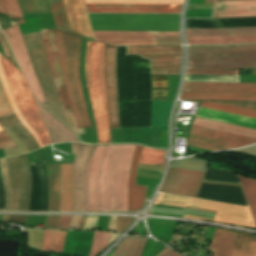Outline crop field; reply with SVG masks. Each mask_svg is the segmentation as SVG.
<instances>
[{
	"label": "crop field",
	"instance_id": "8a807250",
	"mask_svg": "<svg viewBox=\"0 0 256 256\" xmlns=\"http://www.w3.org/2000/svg\"><path fill=\"white\" fill-rule=\"evenodd\" d=\"M135 146H96L89 174V211H128V183Z\"/></svg>",
	"mask_w": 256,
	"mask_h": 256
},
{
	"label": "crop field",
	"instance_id": "ac0d7876",
	"mask_svg": "<svg viewBox=\"0 0 256 256\" xmlns=\"http://www.w3.org/2000/svg\"><path fill=\"white\" fill-rule=\"evenodd\" d=\"M104 43L87 41L85 74L97 128H109L107 103L103 87L102 57ZM116 46H104L103 74L108 102L110 128L119 127L115 81ZM99 143H111L109 129H97Z\"/></svg>",
	"mask_w": 256,
	"mask_h": 256
},
{
	"label": "crop field",
	"instance_id": "34b2d1b8",
	"mask_svg": "<svg viewBox=\"0 0 256 256\" xmlns=\"http://www.w3.org/2000/svg\"><path fill=\"white\" fill-rule=\"evenodd\" d=\"M51 71L63 106L66 120L80 138L75 119L64 87L58 58L55 30H41ZM40 31L23 35L34 70L42 88L48 109L65 119L56 87L50 71Z\"/></svg>",
	"mask_w": 256,
	"mask_h": 256
},
{
	"label": "crop field",
	"instance_id": "412701ff",
	"mask_svg": "<svg viewBox=\"0 0 256 256\" xmlns=\"http://www.w3.org/2000/svg\"><path fill=\"white\" fill-rule=\"evenodd\" d=\"M62 75L78 128H91L79 79L81 37L56 30Z\"/></svg>",
	"mask_w": 256,
	"mask_h": 256
},
{
	"label": "crop field",
	"instance_id": "f4fd0767",
	"mask_svg": "<svg viewBox=\"0 0 256 256\" xmlns=\"http://www.w3.org/2000/svg\"><path fill=\"white\" fill-rule=\"evenodd\" d=\"M256 68V46H189L187 69Z\"/></svg>",
	"mask_w": 256,
	"mask_h": 256
},
{
	"label": "crop field",
	"instance_id": "dd49c442",
	"mask_svg": "<svg viewBox=\"0 0 256 256\" xmlns=\"http://www.w3.org/2000/svg\"><path fill=\"white\" fill-rule=\"evenodd\" d=\"M1 56V55H0ZM2 65L11 88L13 97L26 122L38 135L42 145L49 144L45 127L38 115L32 93L21 73L4 57L1 56Z\"/></svg>",
	"mask_w": 256,
	"mask_h": 256
},
{
	"label": "crop field",
	"instance_id": "e52e79f7",
	"mask_svg": "<svg viewBox=\"0 0 256 256\" xmlns=\"http://www.w3.org/2000/svg\"><path fill=\"white\" fill-rule=\"evenodd\" d=\"M155 204L179 207H184L185 205H188L201 209L213 210L217 211V216L213 221L256 228L249 209L245 207L166 194H161ZM184 217L195 218L186 215H184Z\"/></svg>",
	"mask_w": 256,
	"mask_h": 256
},
{
	"label": "crop field",
	"instance_id": "d8731c3e",
	"mask_svg": "<svg viewBox=\"0 0 256 256\" xmlns=\"http://www.w3.org/2000/svg\"><path fill=\"white\" fill-rule=\"evenodd\" d=\"M95 40L111 43L152 44V36H180L179 32L93 31ZM122 46H181L180 37H153V45L115 44Z\"/></svg>",
	"mask_w": 256,
	"mask_h": 256
},
{
	"label": "crop field",
	"instance_id": "5a996713",
	"mask_svg": "<svg viewBox=\"0 0 256 256\" xmlns=\"http://www.w3.org/2000/svg\"><path fill=\"white\" fill-rule=\"evenodd\" d=\"M256 139L192 125L188 145L211 151L242 147Z\"/></svg>",
	"mask_w": 256,
	"mask_h": 256
},
{
	"label": "crop field",
	"instance_id": "3316defc",
	"mask_svg": "<svg viewBox=\"0 0 256 256\" xmlns=\"http://www.w3.org/2000/svg\"><path fill=\"white\" fill-rule=\"evenodd\" d=\"M19 157L23 168L24 188L22 169ZM19 157L15 156L6 158L8 163V172L10 175L12 191L11 210H20L23 188V200L21 210L28 211L31 193V170L27 155L25 154Z\"/></svg>",
	"mask_w": 256,
	"mask_h": 256
},
{
	"label": "crop field",
	"instance_id": "28ad6ade",
	"mask_svg": "<svg viewBox=\"0 0 256 256\" xmlns=\"http://www.w3.org/2000/svg\"><path fill=\"white\" fill-rule=\"evenodd\" d=\"M128 54L151 59L152 74H179L181 47H128Z\"/></svg>",
	"mask_w": 256,
	"mask_h": 256
},
{
	"label": "crop field",
	"instance_id": "d1516ede",
	"mask_svg": "<svg viewBox=\"0 0 256 256\" xmlns=\"http://www.w3.org/2000/svg\"><path fill=\"white\" fill-rule=\"evenodd\" d=\"M3 32L32 89V92L40 102L45 101L32 64L30 62L25 43L21 37L19 26L17 25L13 28L3 30Z\"/></svg>",
	"mask_w": 256,
	"mask_h": 256
},
{
	"label": "crop field",
	"instance_id": "22f410ed",
	"mask_svg": "<svg viewBox=\"0 0 256 256\" xmlns=\"http://www.w3.org/2000/svg\"><path fill=\"white\" fill-rule=\"evenodd\" d=\"M204 174L170 167L160 191L196 197Z\"/></svg>",
	"mask_w": 256,
	"mask_h": 256
},
{
	"label": "crop field",
	"instance_id": "cbeb9de0",
	"mask_svg": "<svg viewBox=\"0 0 256 256\" xmlns=\"http://www.w3.org/2000/svg\"><path fill=\"white\" fill-rule=\"evenodd\" d=\"M22 14L48 11L51 8L56 28L69 30L62 0H17ZM70 31V30H69Z\"/></svg>",
	"mask_w": 256,
	"mask_h": 256
},
{
	"label": "crop field",
	"instance_id": "5142ce71",
	"mask_svg": "<svg viewBox=\"0 0 256 256\" xmlns=\"http://www.w3.org/2000/svg\"><path fill=\"white\" fill-rule=\"evenodd\" d=\"M88 12L180 13L182 5L86 4Z\"/></svg>",
	"mask_w": 256,
	"mask_h": 256
},
{
	"label": "crop field",
	"instance_id": "d9b57169",
	"mask_svg": "<svg viewBox=\"0 0 256 256\" xmlns=\"http://www.w3.org/2000/svg\"><path fill=\"white\" fill-rule=\"evenodd\" d=\"M182 92L256 93V83L185 82Z\"/></svg>",
	"mask_w": 256,
	"mask_h": 256
},
{
	"label": "crop field",
	"instance_id": "733c2abd",
	"mask_svg": "<svg viewBox=\"0 0 256 256\" xmlns=\"http://www.w3.org/2000/svg\"><path fill=\"white\" fill-rule=\"evenodd\" d=\"M71 30L85 37H93L83 0H64Z\"/></svg>",
	"mask_w": 256,
	"mask_h": 256
},
{
	"label": "crop field",
	"instance_id": "4a817a6b",
	"mask_svg": "<svg viewBox=\"0 0 256 256\" xmlns=\"http://www.w3.org/2000/svg\"><path fill=\"white\" fill-rule=\"evenodd\" d=\"M35 99V98H34ZM40 117L46 127L51 144L57 142L66 141H76L80 142L71 131L62 124L58 119H56L52 114H50L45 108H43L39 102L35 99Z\"/></svg>",
	"mask_w": 256,
	"mask_h": 256
},
{
	"label": "crop field",
	"instance_id": "bc2a9ffb",
	"mask_svg": "<svg viewBox=\"0 0 256 256\" xmlns=\"http://www.w3.org/2000/svg\"><path fill=\"white\" fill-rule=\"evenodd\" d=\"M256 16V0L216 2L212 18Z\"/></svg>",
	"mask_w": 256,
	"mask_h": 256
},
{
	"label": "crop field",
	"instance_id": "214f88e0",
	"mask_svg": "<svg viewBox=\"0 0 256 256\" xmlns=\"http://www.w3.org/2000/svg\"><path fill=\"white\" fill-rule=\"evenodd\" d=\"M141 146L136 147L133 167L129 183V211L139 210L144 203L145 194L148 187L135 185L137 165L140 157Z\"/></svg>",
	"mask_w": 256,
	"mask_h": 256
},
{
	"label": "crop field",
	"instance_id": "92a150f3",
	"mask_svg": "<svg viewBox=\"0 0 256 256\" xmlns=\"http://www.w3.org/2000/svg\"><path fill=\"white\" fill-rule=\"evenodd\" d=\"M48 178V211H59L60 164L46 165Z\"/></svg>",
	"mask_w": 256,
	"mask_h": 256
},
{
	"label": "crop field",
	"instance_id": "dafd665d",
	"mask_svg": "<svg viewBox=\"0 0 256 256\" xmlns=\"http://www.w3.org/2000/svg\"><path fill=\"white\" fill-rule=\"evenodd\" d=\"M4 125L13 132L29 151L39 148L35 139L17 118L16 114L0 118V126Z\"/></svg>",
	"mask_w": 256,
	"mask_h": 256
},
{
	"label": "crop field",
	"instance_id": "00972430",
	"mask_svg": "<svg viewBox=\"0 0 256 256\" xmlns=\"http://www.w3.org/2000/svg\"><path fill=\"white\" fill-rule=\"evenodd\" d=\"M72 173L73 165L61 164L60 211H73Z\"/></svg>",
	"mask_w": 256,
	"mask_h": 256
},
{
	"label": "crop field",
	"instance_id": "a9b5d70f",
	"mask_svg": "<svg viewBox=\"0 0 256 256\" xmlns=\"http://www.w3.org/2000/svg\"><path fill=\"white\" fill-rule=\"evenodd\" d=\"M195 116L256 129V119L252 118H246L201 108L198 109Z\"/></svg>",
	"mask_w": 256,
	"mask_h": 256
},
{
	"label": "crop field",
	"instance_id": "4177f3b9",
	"mask_svg": "<svg viewBox=\"0 0 256 256\" xmlns=\"http://www.w3.org/2000/svg\"><path fill=\"white\" fill-rule=\"evenodd\" d=\"M236 233L216 228L209 251L215 252L214 256H228Z\"/></svg>",
	"mask_w": 256,
	"mask_h": 256
},
{
	"label": "crop field",
	"instance_id": "730fd06b",
	"mask_svg": "<svg viewBox=\"0 0 256 256\" xmlns=\"http://www.w3.org/2000/svg\"><path fill=\"white\" fill-rule=\"evenodd\" d=\"M229 256H256V235L238 232Z\"/></svg>",
	"mask_w": 256,
	"mask_h": 256
},
{
	"label": "crop field",
	"instance_id": "eef30255",
	"mask_svg": "<svg viewBox=\"0 0 256 256\" xmlns=\"http://www.w3.org/2000/svg\"><path fill=\"white\" fill-rule=\"evenodd\" d=\"M190 44L256 43V35L224 37H187Z\"/></svg>",
	"mask_w": 256,
	"mask_h": 256
},
{
	"label": "crop field",
	"instance_id": "ae1a2a85",
	"mask_svg": "<svg viewBox=\"0 0 256 256\" xmlns=\"http://www.w3.org/2000/svg\"><path fill=\"white\" fill-rule=\"evenodd\" d=\"M180 99L256 101V94L182 93Z\"/></svg>",
	"mask_w": 256,
	"mask_h": 256
},
{
	"label": "crop field",
	"instance_id": "d3111659",
	"mask_svg": "<svg viewBox=\"0 0 256 256\" xmlns=\"http://www.w3.org/2000/svg\"><path fill=\"white\" fill-rule=\"evenodd\" d=\"M187 36H224L256 34V27L233 29H186Z\"/></svg>",
	"mask_w": 256,
	"mask_h": 256
},
{
	"label": "crop field",
	"instance_id": "750c4746",
	"mask_svg": "<svg viewBox=\"0 0 256 256\" xmlns=\"http://www.w3.org/2000/svg\"><path fill=\"white\" fill-rule=\"evenodd\" d=\"M192 124L256 138V130H253V129L237 127V126H232V125H227V124H222V123H217V122H212V121H207V120H202L197 118L194 119Z\"/></svg>",
	"mask_w": 256,
	"mask_h": 256
},
{
	"label": "crop field",
	"instance_id": "bd1437ed",
	"mask_svg": "<svg viewBox=\"0 0 256 256\" xmlns=\"http://www.w3.org/2000/svg\"><path fill=\"white\" fill-rule=\"evenodd\" d=\"M66 231L44 230L40 250L62 253Z\"/></svg>",
	"mask_w": 256,
	"mask_h": 256
},
{
	"label": "crop field",
	"instance_id": "1d83c4d3",
	"mask_svg": "<svg viewBox=\"0 0 256 256\" xmlns=\"http://www.w3.org/2000/svg\"><path fill=\"white\" fill-rule=\"evenodd\" d=\"M199 107L216 110V111H221V112H226V113H231V114H236V115H241V116H246V117L256 118L255 111L240 109V108L216 104V103L201 102Z\"/></svg>",
	"mask_w": 256,
	"mask_h": 256
},
{
	"label": "crop field",
	"instance_id": "120bbe31",
	"mask_svg": "<svg viewBox=\"0 0 256 256\" xmlns=\"http://www.w3.org/2000/svg\"><path fill=\"white\" fill-rule=\"evenodd\" d=\"M241 185L250 204V209L256 221V180L240 176Z\"/></svg>",
	"mask_w": 256,
	"mask_h": 256
},
{
	"label": "crop field",
	"instance_id": "d32e631a",
	"mask_svg": "<svg viewBox=\"0 0 256 256\" xmlns=\"http://www.w3.org/2000/svg\"><path fill=\"white\" fill-rule=\"evenodd\" d=\"M153 95L152 100H167L168 80L167 75H152Z\"/></svg>",
	"mask_w": 256,
	"mask_h": 256
},
{
	"label": "crop field",
	"instance_id": "5866460e",
	"mask_svg": "<svg viewBox=\"0 0 256 256\" xmlns=\"http://www.w3.org/2000/svg\"><path fill=\"white\" fill-rule=\"evenodd\" d=\"M165 151L143 148L140 162L143 164H151L164 167L165 159L163 158Z\"/></svg>",
	"mask_w": 256,
	"mask_h": 256
},
{
	"label": "crop field",
	"instance_id": "028f5c9d",
	"mask_svg": "<svg viewBox=\"0 0 256 256\" xmlns=\"http://www.w3.org/2000/svg\"><path fill=\"white\" fill-rule=\"evenodd\" d=\"M185 81L238 82L237 75L187 74Z\"/></svg>",
	"mask_w": 256,
	"mask_h": 256
},
{
	"label": "crop field",
	"instance_id": "e1f06a70",
	"mask_svg": "<svg viewBox=\"0 0 256 256\" xmlns=\"http://www.w3.org/2000/svg\"><path fill=\"white\" fill-rule=\"evenodd\" d=\"M0 80H1V83L3 85V88L9 98V102L11 104V107L12 109L14 110V112L17 114L18 118L21 120V122L27 127V129L32 133V135L35 137V139L37 140V142L39 143L40 147L42 146L37 135L34 133V131L30 128V126L25 122V120L22 118L21 116V113L12 97V94H11V91H10V88L8 86V83L6 81V78H5V75H4V72H3V68H2V65H1V61H0Z\"/></svg>",
	"mask_w": 256,
	"mask_h": 256
},
{
	"label": "crop field",
	"instance_id": "0bd39190",
	"mask_svg": "<svg viewBox=\"0 0 256 256\" xmlns=\"http://www.w3.org/2000/svg\"><path fill=\"white\" fill-rule=\"evenodd\" d=\"M86 3L182 4L183 0H85Z\"/></svg>",
	"mask_w": 256,
	"mask_h": 256
},
{
	"label": "crop field",
	"instance_id": "b80d0937",
	"mask_svg": "<svg viewBox=\"0 0 256 256\" xmlns=\"http://www.w3.org/2000/svg\"><path fill=\"white\" fill-rule=\"evenodd\" d=\"M208 161L187 158L174 161L170 166L205 172Z\"/></svg>",
	"mask_w": 256,
	"mask_h": 256
},
{
	"label": "crop field",
	"instance_id": "c035e120",
	"mask_svg": "<svg viewBox=\"0 0 256 256\" xmlns=\"http://www.w3.org/2000/svg\"><path fill=\"white\" fill-rule=\"evenodd\" d=\"M109 235L110 233L108 232H95L89 256H95L107 246Z\"/></svg>",
	"mask_w": 256,
	"mask_h": 256
},
{
	"label": "crop field",
	"instance_id": "c21b1889",
	"mask_svg": "<svg viewBox=\"0 0 256 256\" xmlns=\"http://www.w3.org/2000/svg\"><path fill=\"white\" fill-rule=\"evenodd\" d=\"M12 25L24 23L23 16L18 8L16 0H5Z\"/></svg>",
	"mask_w": 256,
	"mask_h": 256
},
{
	"label": "crop field",
	"instance_id": "03da06ac",
	"mask_svg": "<svg viewBox=\"0 0 256 256\" xmlns=\"http://www.w3.org/2000/svg\"><path fill=\"white\" fill-rule=\"evenodd\" d=\"M14 114L0 83V117Z\"/></svg>",
	"mask_w": 256,
	"mask_h": 256
},
{
	"label": "crop field",
	"instance_id": "b54c1fbb",
	"mask_svg": "<svg viewBox=\"0 0 256 256\" xmlns=\"http://www.w3.org/2000/svg\"><path fill=\"white\" fill-rule=\"evenodd\" d=\"M95 146L96 145L91 147V151H90V155H89L88 162H87V167H86V174H85V210L84 211H88V174H89L91 159H92V155H93Z\"/></svg>",
	"mask_w": 256,
	"mask_h": 256
},
{
	"label": "crop field",
	"instance_id": "5d738f31",
	"mask_svg": "<svg viewBox=\"0 0 256 256\" xmlns=\"http://www.w3.org/2000/svg\"><path fill=\"white\" fill-rule=\"evenodd\" d=\"M14 143L5 131L0 132V149L16 147Z\"/></svg>",
	"mask_w": 256,
	"mask_h": 256
},
{
	"label": "crop field",
	"instance_id": "d23c7cc5",
	"mask_svg": "<svg viewBox=\"0 0 256 256\" xmlns=\"http://www.w3.org/2000/svg\"><path fill=\"white\" fill-rule=\"evenodd\" d=\"M130 223H131L130 218L118 217L116 232L122 233Z\"/></svg>",
	"mask_w": 256,
	"mask_h": 256
},
{
	"label": "crop field",
	"instance_id": "425ffa30",
	"mask_svg": "<svg viewBox=\"0 0 256 256\" xmlns=\"http://www.w3.org/2000/svg\"><path fill=\"white\" fill-rule=\"evenodd\" d=\"M71 216H59L56 228L68 229Z\"/></svg>",
	"mask_w": 256,
	"mask_h": 256
},
{
	"label": "crop field",
	"instance_id": "25e5ab78",
	"mask_svg": "<svg viewBox=\"0 0 256 256\" xmlns=\"http://www.w3.org/2000/svg\"><path fill=\"white\" fill-rule=\"evenodd\" d=\"M187 73L238 74V71L187 70Z\"/></svg>",
	"mask_w": 256,
	"mask_h": 256
},
{
	"label": "crop field",
	"instance_id": "73cf0c24",
	"mask_svg": "<svg viewBox=\"0 0 256 256\" xmlns=\"http://www.w3.org/2000/svg\"><path fill=\"white\" fill-rule=\"evenodd\" d=\"M58 216L47 215L44 228H55Z\"/></svg>",
	"mask_w": 256,
	"mask_h": 256
},
{
	"label": "crop field",
	"instance_id": "89e229c0",
	"mask_svg": "<svg viewBox=\"0 0 256 256\" xmlns=\"http://www.w3.org/2000/svg\"><path fill=\"white\" fill-rule=\"evenodd\" d=\"M221 104H226V105H231V106H236L240 108H245V109H250V110H255L256 111V104H249V103H221Z\"/></svg>",
	"mask_w": 256,
	"mask_h": 256
},
{
	"label": "crop field",
	"instance_id": "1f2cbd36",
	"mask_svg": "<svg viewBox=\"0 0 256 256\" xmlns=\"http://www.w3.org/2000/svg\"><path fill=\"white\" fill-rule=\"evenodd\" d=\"M158 255H160V256H182V255L170 250L167 247L164 250H162Z\"/></svg>",
	"mask_w": 256,
	"mask_h": 256
},
{
	"label": "crop field",
	"instance_id": "dbb93151",
	"mask_svg": "<svg viewBox=\"0 0 256 256\" xmlns=\"http://www.w3.org/2000/svg\"><path fill=\"white\" fill-rule=\"evenodd\" d=\"M234 151L256 155V146L243 148V149H239V150H234Z\"/></svg>",
	"mask_w": 256,
	"mask_h": 256
},
{
	"label": "crop field",
	"instance_id": "0fb4a251",
	"mask_svg": "<svg viewBox=\"0 0 256 256\" xmlns=\"http://www.w3.org/2000/svg\"><path fill=\"white\" fill-rule=\"evenodd\" d=\"M0 43H1L2 48H3V50H4L5 58H6L9 62H11V63L13 64V62H12V60H11V57H10V55H9V53H8V51H7L6 47H5V45H4L3 41H2V39H1V37H0Z\"/></svg>",
	"mask_w": 256,
	"mask_h": 256
},
{
	"label": "crop field",
	"instance_id": "1d79db26",
	"mask_svg": "<svg viewBox=\"0 0 256 256\" xmlns=\"http://www.w3.org/2000/svg\"><path fill=\"white\" fill-rule=\"evenodd\" d=\"M0 13L8 15L4 0H0Z\"/></svg>",
	"mask_w": 256,
	"mask_h": 256
},
{
	"label": "crop field",
	"instance_id": "9d1cf04e",
	"mask_svg": "<svg viewBox=\"0 0 256 256\" xmlns=\"http://www.w3.org/2000/svg\"><path fill=\"white\" fill-rule=\"evenodd\" d=\"M215 0H205L204 3H214Z\"/></svg>",
	"mask_w": 256,
	"mask_h": 256
},
{
	"label": "crop field",
	"instance_id": "447ae74e",
	"mask_svg": "<svg viewBox=\"0 0 256 256\" xmlns=\"http://www.w3.org/2000/svg\"><path fill=\"white\" fill-rule=\"evenodd\" d=\"M253 75H256V71H253Z\"/></svg>",
	"mask_w": 256,
	"mask_h": 256
},
{
	"label": "crop field",
	"instance_id": "0765c3eb",
	"mask_svg": "<svg viewBox=\"0 0 256 256\" xmlns=\"http://www.w3.org/2000/svg\"><path fill=\"white\" fill-rule=\"evenodd\" d=\"M216 1H226V0H216Z\"/></svg>",
	"mask_w": 256,
	"mask_h": 256
},
{
	"label": "crop field",
	"instance_id": "db79e9e6",
	"mask_svg": "<svg viewBox=\"0 0 256 256\" xmlns=\"http://www.w3.org/2000/svg\"><path fill=\"white\" fill-rule=\"evenodd\" d=\"M0 131H3V130L0 128Z\"/></svg>",
	"mask_w": 256,
	"mask_h": 256
}]
</instances>
